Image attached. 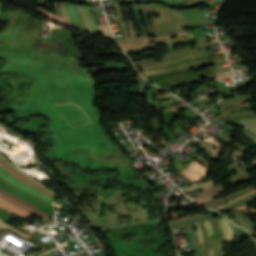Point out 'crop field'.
I'll list each match as a JSON object with an SVG mask.
<instances>
[{
	"label": "crop field",
	"mask_w": 256,
	"mask_h": 256,
	"mask_svg": "<svg viewBox=\"0 0 256 256\" xmlns=\"http://www.w3.org/2000/svg\"><path fill=\"white\" fill-rule=\"evenodd\" d=\"M154 13L160 15V18L155 19L157 32L178 29L186 26L185 16L179 11L156 6Z\"/></svg>",
	"instance_id": "obj_1"
},
{
	"label": "crop field",
	"mask_w": 256,
	"mask_h": 256,
	"mask_svg": "<svg viewBox=\"0 0 256 256\" xmlns=\"http://www.w3.org/2000/svg\"><path fill=\"white\" fill-rule=\"evenodd\" d=\"M0 176L7 180L9 183H11L12 185L19 187L23 190H26L32 194H34L35 196L49 202L52 204V199L50 196L46 195L45 193L17 180L15 177H13L10 173H8L6 170H4L2 167H0ZM25 191V192H26Z\"/></svg>",
	"instance_id": "obj_2"
},
{
	"label": "crop field",
	"mask_w": 256,
	"mask_h": 256,
	"mask_svg": "<svg viewBox=\"0 0 256 256\" xmlns=\"http://www.w3.org/2000/svg\"><path fill=\"white\" fill-rule=\"evenodd\" d=\"M0 208L13 214L14 216L18 217V218H22L27 220L25 217H32L33 215L27 213L26 211H24L23 209H21L20 207L10 203L9 201L3 199L2 197H0ZM35 217V216H34ZM29 221V220H27ZM30 222V221H29Z\"/></svg>",
	"instance_id": "obj_3"
},
{
	"label": "crop field",
	"mask_w": 256,
	"mask_h": 256,
	"mask_svg": "<svg viewBox=\"0 0 256 256\" xmlns=\"http://www.w3.org/2000/svg\"><path fill=\"white\" fill-rule=\"evenodd\" d=\"M211 218H214V217L212 215H210V216H206V217H202V218H198V219H194V220L174 224L172 226H173L174 230L189 227L190 234H191L192 240H193V244L197 245L199 243H198V239H197V235H196V232H195V229H194L193 222L206 220V219H211Z\"/></svg>",
	"instance_id": "obj_4"
},
{
	"label": "crop field",
	"mask_w": 256,
	"mask_h": 256,
	"mask_svg": "<svg viewBox=\"0 0 256 256\" xmlns=\"http://www.w3.org/2000/svg\"><path fill=\"white\" fill-rule=\"evenodd\" d=\"M68 12L69 20L79 28L85 31L83 21L75 5L64 3Z\"/></svg>",
	"instance_id": "obj_5"
},
{
	"label": "crop field",
	"mask_w": 256,
	"mask_h": 256,
	"mask_svg": "<svg viewBox=\"0 0 256 256\" xmlns=\"http://www.w3.org/2000/svg\"><path fill=\"white\" fill-rule=\"evenodd\" d=\"M0 196L4 197L5 199L11 201L12 203H14V204H16V205H18V206H20L21 208H23V209H25V210H27V211L33 213L34 215H36L37 217H39V218H41V219L46 218V217L43 216L42 214H40V213H38V212L32 210L31 208H29V207H27V206H25V205H23V204H21V203L15 201V200L11 199V198H9V197H7V196L1 194V193H0Z\"/></svg>",
	"instance_id": "obj_6"
},
{
	"label": "crop field",
	"mask_w": 256,
	"mask_h": 256,
	"mask_svg": "<svg viewBox=\"0 0 256 256\" xmlns=\"http://www.w3.org/2000/svg\"><path fill=\"white\" fill-rule=\"evenodd\" d=\"M0 166H2L4 169H6L8 172H10V173H11L12 175H14L16 178H18V179H20V180H22V181H24V182H26V183H28V184H30V185L36 187V188H38L37 186H35L33 183H31L30 181H28V180L25 179L24 177L18 175L16 172H14L11 168H9L6 164H4V163L1 162V161H0ZM38 189L41 190L40 188H38ZM41 191H43V190H41ZM43 192H44V191H43ZM45 193H46V192H45ZM46 194H48V193H46ZM48 195H50V194H48ZM50 196H52V195H50ZM52 197H54V196H52Z\"/></svg>",
	"instance_id": "obj_7"
},
{
	"label": "crop field",
	"mask_w": 256,
	"mask_h": 256,
	"mask_svg": "<svg viewBox=\"0 0 256 256\" xmlns=\"http://www.w3.org/2000/svg\"><path fill=\"white\" fill-rule=\"evenodd\" d=\"M0 192H2V193H4V194H6V195H8V196H10V197H12V198L18 200V201H20V202H22V203H24L25 205H27V206L31 207L32 209H34V210H36V211H38V212H40V213L46 215L47 217L52 216V215H50L49 213H47V212H45V211H43V210H41V209H39V208H37V207H35V206H33V205L27 203V202H25V201H23V200L17 198L16 196H14V195H12V194L6 192V191L3 190L2 188H0Z\"/></svg>",
	"instance_id": "obj_8"
},
{
	"label": "crop field",
	"mask_w": 256,
	"mask_h": 256,
	"mask_svg": "<svg viewBox=\"0 0 256 256\" xmlns=\"http://www.w3.org/2000/svg\"><path fill=\"white\" fill-rule=\"evenodd\" d=\"M76 6H77V8H78V10L80 12V15H81L83 21H84V25H85L86 31L92 32L90 21H89L87 15L85 13V10H84L83 6H79V5H76Z\"/></svg>",
	"instance_id": "obj_9"
},
{
	"label": "crop field",
	"mask_w": 256,
	"mask_h": 256,
	"mask_svg": "<svg viewBox=\"0 0 256 256\" xmlns=\"http://www.w3.org/2000/svg\"><path fill=\"white\" fill-rule=\"evenodd\" d=\"M0 230H11L12 232H14L15 234H17L20 237L23 238H27L30 239L31 237H29L28 235H26L25 233H22L12 227H10L9 225L5 224L3 221L0 220Z\"/></svg>",
	"instance_id": "obj_10"
},
{
	"label": "crop field",
	"mask_w": 256,
	"mask_h": 256,
	"mask_svg": "<svg viewBox=\"0 0 256 256\" xmlns=\"http://www.w3.org/2000/svg\"><path fill=\"white\" fill-rule=\"evenodd\" d=\"M187 166L191 167L196 172L201 171V173H198V174H200L203 178L206 177L208 172L207 169L204 168L202 165L198 164L197 162L194 161Z\"/></svg>",
	"instance_id": "obj_11"
},
{
	"label": "crop field",
	"mask_w": 256,
	"mask_h": 256,
	"mask_svg": "<svg viewBox=\"0 0 256 256\" xmlns=\"http://www.w3.org/2000/svg\"><path fill=\"white\" fill-rule=\"evenodd\" d=\"M37 11L43 13V14L46 15L47 17H49V18H51V19H53V20H55V21H57V22H59V23L68 24V25H70V26H72V27H74V28L80 30V29L77 28L76 26H74V25H72V24H70V23H68V22H66V21H64V20H62V19H60V18H58V17H56V16H54V15H52V14H50V13L44 11V10H42V9H40V8H39ZM80 31H82V30H80Z\"/></svg>",
	"instance_id": "obj_12"
},
{
	"label": "crop field",
	"mask_w": 256,
	"mask_h": 256,
	"mask_svg": "<svg viewBox=\"0 0 256 256\" xmlns=\"http://www.w3.org/2000/svg\"><path fill=\"white\" fill-rule=\"evenodd\" d=\"M182 174H184L185 176H187L189 179H191L193 182L202 179L196 172H194L193 170H184L182 172H180Z\"/></svg>",
	"instance_id": "obj_13"
},
{
	"label": "crop field",
	"mask_w": 256,
	"mask_h": 256,
	"mask_svg": "<svg viewBox=\"0 0 256 256\" xmlns=\"http://www.w3.org/2000/svg\"><path fill=\"white\" fill-rule=\"evenodd\" d=\"M219 220H220V223H221V225H222V228H223L225 237H226V239H227V242H228V243L232 242L231 240H233V239H232V237H231V235H230V232H229V230H228V227H227V224H226L224 218L219 219Z\"/></svg>",
	"instance_id": "obj_14"
},
{
	"label": "crop field",
	"mask_w": 256,
	"mask_h": 256,
	"mask_svg": "<svg viewBox=\"0 0 256 256\" xmlns=\"http://www.w3.org/2000/svg\"><path fill=\"white\" fill-rule=\"evenodd\" d=\"M239 123L256 131V119L240 120Z\"/></svg>",
	"instance_id": "obj_15"
},
{
	"label": "crop field",
	"mask_w": 256,
	"mask_h": 256,
	"mask_svg": "<svg viewBox=\"0 0 256 256\" xmlns=\"http://www.w3.org/2000/svg\"><path fill=\"white\" fill-rule=\"evenodd\" d=\"M84 8H85L86 13H87V15H88V17H89V19H90V21H91L92 28H93V32H94V33H99V32H98V29H97V26H96V22H95V20H94V18H93V16H92V14H91V12H90L88 6H84Z\"/></svg>",
	"instance_id": "obj_16"
},
{
	"label": "crop field",
	"mask_w": 256,
	"mask_h": 256,
	"mask_svg": "<svg viewBox=\"0 0 256 256\" xmlns=\"http://www.w3.org/2000/svg\"><path fill=\"white\" fill-rule=\"evenodd\" d=\"M254 200H256V195L252 196L251 198H249V199H247V200H245V201H243V202H241V203H238V204H236V205H234V206H231V207H229V208H227V209H225V210H223V211H224V212H228V211H230V210H232V209H234V208H237V207H239V206H241V205H244V204H246V203H250V202H252V201H254Z\"/></svg>",
	"instance_id": "obj_17"
},
{
	"label": "crop field",
	"mask_w": 256,
	"mask_h": 256,
	"mask_svg": "<svg viewBox=\"0 0 256 256\" xmlns=\"http://www.w3.org/2000/svg\"><path fill=\"white\" fill-rule=\"evenodd\" d=\"M207 215H210V214H207ZM202 216H206V215L198 214V215H194V216H190V217H185V218H180V219L172 220V221H169V222L171 224H174V223H178L180 221H186V220H190V219H194V218H198V217H202Z\"/></svg>",
	"instance_id": "obj_18"
},
{
	"label": "crop field",
	"mask_w": 256,
	"mask_h": 256,
	"mask_svg": "<svg viewBox=\"0 0 256 256\" xmlns=\"http://www.w3.org/2000/svg\"><path fill=\"white\" fill-rule=\"evenodd\" d=\"M99 27V31L104 34L105 36L109 37V38H112L111 34H110V31L108 29V26L107 24L105 25H98Z\"/></svg>",
	"instance_id": "obj_19"
},
{
	"label": "crop field",
	"mask_w": 256,
	"mask_h": 256,
	"mask_svg": "<svg viewBox=\"0 0 256 256\" xmlns=\"http://www.w3.org/2000/svg\"><path fill=\"white\" fill-rule=\"evenodd\" d=\"M213 180L210 181V182H207V183H203V184H200L198 186H194V187H191V188H188V189H184L183 192L186 193V192H189V191H193V190H196V189H199V188H202V187H205L207 185H210V184H213Z\"/></svg>",
	"instance_id": "obj_20"
},
{
	"label": "crop field",
	"mask_w": 256,
	"mask_h": 256,
	"mask_svg": "<svg viewBox=\"0 0 256 256\" xmlns=\"http://www.w3.org/2000/svg\"><path fill=\"white\" fill-rule=\"evenodd\" d=\"M0 160H2L4 163H6L3 159H1L0 158ZM7 164V163H6ZM8 166H10L9 164H7ZM11 167V166H10ZM12 168V167H11ZM14 171H16L18 174H20V175H22V176H24L22 173H20L18 170H16V169H14V168H12ZM25 178H27L26 176H24ZM28 180H30L29 178H27ZM31 182H33L32 180H30ZM35 185H37L38 187H40L41 189H43L44 191H46L43 187H41L40 185H38V184H36L35 182H33ZM46 192H48V191H46ZM48 193H50V192H48ZM50 194H52V193H50ZM52 195H54V194H52ZM55 196V195H54Z\"/></svg>",
	"instance_id": "obj_21"
},
{
	"label": "crop field",
	"mask_w": 256,
	"mask_h": 256,
	"mask_svg": "<svg viewBox=\"0 0 256 256\" xmlns=\"http://www.w3.org/2000/svg\"><path fill=\"white\" fill-rule=\"evenodd\" d=\"M254 178H256V176H255V175H252V176H250V177H248V178H246V179H243V180H241V181H238V182H236V183L231 184V186H232V187L237 186V185H239V184H242V183L247 182V181H249V180H251V179H254Z\"/></svg>",
	"instance_id": "obj_22"
},
{
	"label": "crop field",
	"mask_w": 256,
	"mask_h": 256,
	"mask_svg": "<svg viewBox=\"0 0 256 256\" xmlns=\"http://www.w3.org/2000/svg\"><path fill=\"white\" fill-rule=\"evenodd\" d=\"M195 227H196V231H197V234L199 236V241H200V245L202 244V242L204 241L203 237H202V234H201V231H200V227H199V224L198 222L195 223Z\"/></svg>",
	"instance_id": "obj_23"
},
{
	"label": "crop field",
	"mask_w": 256,
	"mask_h": 256,
	"mask_svg": "<svg viewBox=\"0 0 256 256\" xmlns=\"http://www.w3.org/2000/svg\"><path fill=\"white\" fill-rule=\"evenodd\" d=\"M171 70H172V68H168V69L158 70V71L142 72V74H143V75H147V74H154V73L167 72V71H171Z\"/></svg>",
	"instance_id": "obj_24"
},
{
	"label": "crop field",
	"mask_w": 256,
	"mask_h": 256,
	"mask_svg": "<svg viewBox=\"0 0 256 256\" xmlns=\"http://www.w3.org/2000/svg\"><path fill=\"white\" fill-rule=\"evenodd\" d=\"M0 157L3 158L7 163H9L12 167L16 168L14 165H12L10 162H8L1 154H0ZM18 169V168H16ZM19 170V169H18ZM21 171V170H19ZM22 172V171H21ZM24 173V172H22ZM25 174V173H24ZM26 176H28L27 174H25ZM30 179H32L30 176H28ZM33 181H35L36 183L40 184L41 186H43L41 183L37 182L36 180L32 179ZM44 187V186H43ZM45 188V187H44ZM46 189V188H45ZM48 190V189H47ZM49 191V190H48ZM51 192V191H50Z\"/></svg>",
	"instance_id": "obj_25"
},
{
	"label": "crop field",
	"mask_w": 256,
	"mask_h": 256,
	"mask_svg": "<svg viewBox=\"0 0 256 256\" xmlns=\"http://www.w3.org/2000/svg\"><path fill=\"white\" fill-rule=\"evenodd\" d=\"M204 222H205V225H206V228H207L208 235H209V237H210L211 234L213 233V230H212L211 225H210V223H209L208 220H206V221H204Z\"/></svg>",
	"instance_id": "obj_26"
},
{
	"label": "crop field",
	"mask_w": 256,
	"mask_h": 256,
	"mask_svg": "<svg viewBox=\"0 0 256 256\" xmlns=\"http://www.w3.org/2000/svg\"><path fill=\"white\" fill-rule=\"evenodd\" d=\"M256 190H254V191H251V192H249V193H247V194H245V195H243V196H241V197H239V198H237V199H235V200H233V201H230V202H228V203H226V204H224V205H222V206H220V207H223V206H225V205H227V204H230V203H232V202H235V201H237V200H239V199H241V198H243V197H245V196H247V195H249V194H251V193H253V192H255ZM220 207H217V208H215V209H218V208H220Z\"/></svg>",
	"instance_id": "obj_27"
},
{
	"label": "crop field",
	"mask_w": 256,
	"mask_h": 256,
	"mask_svg": "<svg viewBox=\"0 0 256 256\" xmlns=\"http://www.w3.org/2000/svg\"><path fill=\"white\" fill-rule=\"evenodd\" d=\"M194 57H195V56L189 57V58H185V59L176 60V61H172V62H168V63L156 64V65H152V66H148V67H153V66H158V65H164V64H170V63H174V62H178V61H182V60H186V59H190V58H194ZM144 68H147V67H144Z\"/></svg>",
	"instance_id": "obj_28"
},
{
	"label": "crop field",
	"mask_w": 256,
	"mask_h": 256,
	"mask_svg": "<svg viewBox=\"0 0 256 256\" xmlns=\"http://www.w3.org/2000/svg\"><path fill=\"white\" fill-rule=\"evenodd\" d=\"M200 226H201V229H202V233H203V236L204 238L207 237V232H206V229H205V225H204V222H200Z\"/></svg>",
	"instance_id": "obj_29"
},
{
	"label": "crop field",
	"mask_w": 256,
	"mask_h": 256,
	"mask_svg": "<svg viewBox=\"0 0 256 256\" xmlns=\"http://www.w3.org/2000/svg\"><path fill=\"white\" fill-rule=\"evenodd\" d=\"M216 220H217V224H218L219 230H220V232H221L222 238H223V240H224V243L227 244V243H226V240H225V237H224V234H223V231H222V228H221V225H220V223H219V220H218V219H216Z\"/></svg>",
	"instance_id": "obj_30"
},
{
	"label": "crop field",
	"mask_w": 256,
	"mask_h": 256,
	"mask_svg": "<svg viewBox=\"0 0 256 256\" xmlns=\"http://www.w3.org/2000/svg\"><path fill=\"white\" fill-rule=\"evenodd\" d=\"M231 73H232L231 71H224V72H218L215 74H216V76H222V75L231 74Z\"/></svg>",
	"instance_id": "obj_31"
},
{
	"label": "crop field",
	"mask_w": 256,
	"mask_h": 256,
	"mask_svg": "<svg viewBox=\"0 0 256 256\" xmlns=\"http://www.w3.org/2000/svg\"><path fill=\"white\" fill-rule=\"evenodd\" d=\"M234 73H240V72H247L249 71L248 68H244V69H238V70H233Z\"/></svg>",
	"instance_id": "obj_32"
},
{
	"label": "crop field",
	"mask_w": 256,
	"mask_h": 256,
	"mask_svg": "<svg viewBox=\"0 0 256 256\" xmlns=\"http://www.w3.org/2000/svg\"><path fill=\"white\" fill-rule=\"evenodd\" d=\"M224 218H225V220H226V222H227V224H228V226H229V229H230V232H231L232 236L235 237L234 234H233V231H232V229H231V227H230V225H229V223H228L227 217H224ZM234 241H235V240H234Z\"/></svg>",
	"instance_id": "obj_33"
},
{
	"label": "crop field",
	"mask_w": 256,
	"mask_h": 256,
	"mask_svg": "<svg viewBox=\"0 0 256 256\" xmlns=\"http://www.w3.org/2000/svg\"><path fill=\"white\" fill-rule=\"evenodd\" d=\"M208 253H209V256H214L213 255V250L208 251Z\"/></svg>",
	"instance_id": "obj_34"
},
{
	"label": "crop field",
	"mask_w": 256,
	"mask_h": 256,
	"mask_svg": "<svg viewBox=\"0 0 256 256\" xmlns=\"http://www.w3.org/2000/svg\"><path fill=\"white\" fill-rule=\"evenodd\" d=\"M252 141H256V139H251Z\"/></svg>",
	"instance_id": "obj_35"
}]
</instances>
